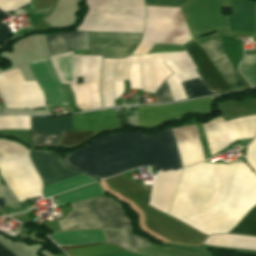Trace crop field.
Instances as JSON below:
<instances>
[{"label":"crop field","mask_w":256,"mask_h":256,"mask_svg":"<svg viewBox=\"0 0 256 256\" xmlns=\"http://www.w3.org/2000/svg\"><path fill=\"white\" fill-rule=\"evenodd\" d=\"M256 205V175L245 163L185 168L169 213L209 235L227 233Z\"/></svg>","instance_id":"crop-field-1"},{"label":"crop field","mask_w":256,"mask_h":256,"mask_svg":"<svg viewBox=\"0 0 256 256\" xmlns=\"http://www.w3.org/2000/svg\"><path fill=\"white\" fill-rule=\"evenodd\" d=\"M64 161L96 179L137 166L182 168L170 127L149 136L135 131L103 136L69 153Z\"/></svg>","instance_id":"crop-field-2"},{"label":"crop field","mask_w":256,"mask_h":256,"mask_svg":"<svg viewBox=\"0 0 256 256\" xmlns=\"http://www.w3.org/2000/svg\"><path fill=\"white\" fill-rule=\"evenodd\" d=\"M89 8L77 30L141 32L145 19L143 0H87ZM141 33L88 32L89 55L125 57Z\"/></svg>","instance_id":"crop-field-3"},{"label":"crop field","mask_w":256,"mask_h":256,"mask_svg":"<svg viewBox=\"0 0 256 256\" xmlns=\"http://www.w3.org/2000/svg\"><path fill=\"white\" fill-rule=\"evenodd\" d=\"M202 126L211 154H214L238 139L253 137L256 126V115L240 117L226 122L220 117ZM172 133L183 167L205 160L194 126L173 129Z\"/></svg>","instance_id":"crop-field-4"},{"label":"crop field","mask_w":256,"mask_h":256,"mask_svg":"<svg viewBox=\"0 0 256 256\" xmlns=\"http://www.w3.org/2000/svg\"><path fill=\"white\" fill-rule=\"evenodd\" d=\"M61 83L70 84L76 107L101 108L99 74L102 56L74 55L72 52L49 57ZM78 77L83 83L76 85Z\"/></svg>","instance_id":"crop-field-5"},{"label":"crop field","mask_w":256,"mask_h":256,"mask_svg":"<svg viewBox=\"0 0 256 256\" xmlns=\"http://www.w3.org/2000/svg\"><path fill=\"white\" fill-rule=\"evenodd\" d=\"M146 5L180 7L188 0H144ZM146 6L141 42L134 54L148 53L154 43L184 44L192 40L179 8Z\"/></svg>","instance_id":"crop-field-6"},{"label":"crop field","mask_w":256,"mask_h":256,"mask_svg":"<svg viewBox=\"0 0 256 256\" xmlns=\"http://www.w3.org/2000/svg\"><path fill=\"white\" fill-rule=\"evenodd\" d=\"M106 182L110 188L134 201L145 213L147 226L172 243L200 245L207 235L146 205L149 191L118 175ZM113 190V191H114Z\"/></svg>","instance_id":"crop-field-7"},{"label":"crop field","mask_w":256,"mask_h":256,"mask_svg":"<svg viewBox=\"0 0 256 256\" xmlns=\"http://www.w3.org/2000/svg\"><path fill=\"white\" fill-rule=\"evenodd\" d=\"M71 207L66 218L58 221L61 230L109 228L131 232L130 220L121 206L104 195L72 203Z\"/></svg>","instance_id":"crop-field-8"},{"label":"crop field","mask_w":256,"mask_h":256,"mask_svg":"<svg viewBox=\"0 0 256 256\" xmlns=\"http://www.w3.org/2000/svg\"><path fill=\"white\" fill-rule=\"evenodd\" d=\"M27 152L17 143L0 140V176L19 202L41 195V180Z\"/></svg>","instance_id":"crop-field-9"},{"label":"crop field","mask_w":256,"mask_h":256,"mask_svg":"<svg viewBox=\"0 0 256 256\" xmlns=\"http://www.w3.org/2000/svg\"><path fill=\"white\" fill-rule=\"evenodd\" d=\"M132 62H140L143 92H155L158 88L155 54L122 59L104 58L101 74L103 107L114 106L111 81L128 80L129 66Z\"/></svg>","instance_id":"crop-field-10"},{"label":"crop field","mask_w":256,"mask_h":256,"mask_svg":"<svg viewBox=\"0 0 256 256\" xmlns=\"http://www.w3.org/2000/svg\"><path fill=\"white\" fill-rule=\"evenodd\" d=\"M0 94L7 108L46 106L36 82H24L18 68L0 73Z\"/></svg>","instance_id":"crop-field-11"},{"label":"crop field","mask_w":256,"mask_h":256,"mask_svg":"<svg viewBox=\"0 0 256 256\" xmlns=\"http://www.w3.org/2000/svg\"><path fill=\"white\" fill-rule=\"evenodd\" d=\"M212 98L199 99L174 105L137 107L138 126L151 127L169 119H178L180 115L189 112H208L209 102Z\"/></svg>","instance_id":"crop-field-12"},{"label":"crop field","mask_w":256,"mask_h":256,"mask_svg":"<svg viewBox=\"0 0 256 256\" xmlns=\"http://www.w3.org/2000/svg\"><path fill=\"white\" fill-rule=\"evenodd\" d=\"M64 131H72L71 116L56 118L31 116L32 146H60Z\"/></svg>","instance_id":"crop-field-13"},{"label":"crop field","mask_w":256,"mask_h":256,"mask_svg":"<svg viewBox=\"0 0 256 256\" xmlns=\"http://www.w3.org/2000/svg\"><path fill=\"white\" fill-rule=\"evenodd\" d=\"M29 65L45 95L48 106L68 104L49 58L29 62Z\"/></svg>","instance_id":"crop-field-14"},{"label":"crop field","mask_w":256,"mask_h":256,"mask_svg":"<svg viewBox=\"0 0 256 256\" xmlns=\"http://www.w3.org/2000/svg\"><path fill=\"white\" fill-rule=\"evenodd\" d=\"M34 167L43 180V186L80 174L67 168L53 151L36 150L29 153Z\"/></svg>","instance_id":"crop-field-15"},{"label":"crop field","mask_w":256,"mask_h":256,"mask_svg":"<svg viewBox=\"0 0 256 256\" xmlns=\"http://www.w3.org/2000/svg\"><path fill=\"white\" fill-rule=\"evenodd\" d=\"M199 45L232 89L246 86L231 66L220 37Z\"/></svg>","instance_id":"crop-field-16"},{"label":"crop field","mask_w":256,"mask_h":256,"mask_svg":"<svg viewBox=\"0 0 256 256\" xmlns=\"http://www.w3.org/2000/svg\"><path fill=\"white\" fill-rule=\"evenodd\" d=\"M181 170L159 172L156 180L152 183L150 206L168 213Z\"/></svg>","instance_id":"crop-field-17"},{"label":"crop field","mask_w":256,"mask_h":256,"mask_svg":"<svg viewBox=\"0 0 256 256\" xmlns=\"http://www.w3.org/2000/svg\"><path fill=\"white\" fill-rule=\"evenodd\" d=\"M73 131L120 126L113 109L72 115Z\"/></svg>","instance_id":"crop-field-18"},{"label":"crop field","mask_w":256,"mask_h":256,"mask_svg":"<svg viewBox=\"0 0 256 256\" xmlns=\"http://www.w3.org/2000/svg\"><path fill=\"white\" fill-rule=\"evenodd\" d=\"M187 52L192 57L208 85L217 91L230 89V87L227 85L219 72L216 70L211 61L195 41L189 45Z\"/></svg>","instance_id":"crop-field-19"},{"label":"crop field","mask_w":256,"mask_h":256,"mask_svg":"<svg viewBox=\"0 0 256 256\" xmlns=\"http://www.w3.org/2000/svg\"><path fill=\"white\" fill-rule=\"evenodd\" d=\"M49 55L69 50H88L87 32H70L44 36Z\"/></svg>","instance_id":"crop-field-20"},{"label":"crop field","mask_w":256,"mask_h":256,"mask_svg":"<svg viewBox=\"0 0 256 256\" xmlns=\"http://www.w3.org/2000/svg\"><path fill=\"white\" fill-rule=\"evenodd\" d=\"M254 10L255 3L233 0V16L227 18L230 30L254 32Z\"/></svg>","instance_id":"crop-field-21"},{"label":"crop field","mask_w":256,"mask_h":256,"mask_svg":"<svg viewBox=\"0 0 256 256\" xmlns=\"http://www.w3.org/2000/svg\"><path fill=\"white\" fill-rule=\"evenodd\" d=\"M50 236L60 245L106 241L102 230L53 232Z\"/></svg>","instance_id":"crop-field-22"},{"label":"crop field","mask_w":256,"mask_h":256,"mask_svg":"<svg viewBox=\"0 0 256 256\" xmlns=\"http://www.w3.org/2000/svg\"><path fill=\"white\" fill-rule=\"evenodd\" d=\"M105 232L109 242L128 250L152 246V244L147 239L137 236L135 233H119L109 231Z\"/></svg>","instance_id":"crop-field-23"},{"label":"crop field","mask_w":256,"mask_h":256,"mask_svg":"<svg viewBox=\"0 0 256 256\" xmlns=\"http://www.w3.org/2000/svg\"><path fill=\"white\" fill-rule=\"evenodd\" d=\"M63 249L69 256H94L118 251H124L121 248H118L109 243H98L91 245H81V246H72V247H60Z\"/></svg>","instance_id":"crop-field-24"},{"label":"crop field","mask_w":256,"mask_h":256,"mask_svg":"<svg viewBox=\"0 0 256 256\" xmlns=\"http://www.w3.org/2000/svg\"><path fill=\"white\" fill-rule=\"evenodd\" d=\"M96 180L89 178L83 174L62 180L60 182L44 187V198L85 185Z\"/></svg>","instance_id":"crop-field-25"},{"label":"crop field","mask_w":256,"mask_h":256,"mask_svg":"<svg viewBox=\"0 0 256 256\" xmlns=\"http://www.w3.org/2000/svg\"><path fill=\"white\" fill-rule=\"evenodd\" d=\"M99 194H103V191L101 190L98 183H96V184L78 189L76 191L58 196L57 202H58L59 206H61V205H65V204H68L71 202H75L78 200L96 196Z\"/></svg>","instance_id":"crop-field-26"},{"label":"crop field","mask_w":256,"mask_h":256,"mask_svg":"<svg viewBox=\"0 0 256 256\" xmlns=\"http://www.w3.org/2000/svg\"><path fill=\"white\" fill-rule=\"evenodd\" d=\"M181 84L188 98L215 93V91L206 86L201 77L198 79L182 82Z\"/></svg>","instance_id":"crop-field-27"},{"label":"crop field","mask_w":256,"mask_h":256,"mask_svg":"<svg viewBox=\"0 0 256 256\" xmlns=\"http://www.w3.org/2000/svg\"><path fill=\"white\" fill-rule=\"evenodd\" d=\"M239 70L252 86H256V54L244 55Z\"/></svg>","instance_id":"crop-field-28"},{"label":"crop field","mask_w":256,"mask_h":256,"mask_svg":"<svg viewBox=\"0 0 256 256\" xmlns=\"http://www.w3.org/2000/svg\"><path fill=\"white\" fill-rule=\"evenodd\" d=\"M0 129H30L29 116H0Z\"/></svg>","instance_id":"crop-field-29"},{"label":"crop field","mask_w":256,"mask_h":256,"mask_svg":"<svg viewBox=\"0 0 256 256\" xmlns=\"http://www.w3.org/2000/svg\"><path fill=\"white\" fill-rule=\"evenodd\" d=\"M231 233L256 235V206L244 217Z\"/></svg>","instance_id":"crop-field-30"},{"label":"crop field","mask_w":256,"mask_h":256,"mask_svg":"<svg viewBox=\"0 0 256 256\" xmlns=\"http://www.w3.org/2000/svg\"><path fill=\"white\" fill-rule=\"evenodd\" d=\"M92 134L93 132H89V131L65 132L62 135L61 146L77 145L85 141L90 136H92Z\"/></svg>","instance_id":"crop-field-31"},{"label":"crop field","mask_w":256,"mask_h":256,"mask_svg":"<svg viewBox=\"0 0 256 256\" xmlns=\"http://www.w3.org/2000/svg\"><path fill=\"white\" fill-rule=\"evenodd\" d=\"M156 96L159 100V103L173 101L166 80L156 92Z\"/></svg>","instance_id":"crop-field-32"},{"label":"crop field","mask_w":256,"mask_h":256,"mask_svg":"<svg viewBox=\"0 0 256 256\" xmlns=\"http://www.w3.org/2000/svg\"><path fill=\"white\" fill-rule=\"evenodd\" d=\"M246 158L250 166L256 172V138L250 145H248Z\"/></svg>","instance_id":"crop-field-33"},{"label":"crop field","mask_w":256,"mask_h":256,"mask_svg":"<svg viewBox=\"0 0 256 256\" xmlns=\"http://www.w3.org/2000/svg\"><path fill=\"white\" fill-rule=\"evenodd\" d=\"M7 16L9 15L0 10V20ZM12 35L10 29L0 22V44Z\"/></svg>","instance_id":"crop-field-34"},{"label":"crop field","mask_w":256,"mask_h":256,"mask_svg":"<svg viewBox=\"0 0 256 256\" xmlns=\"http://www.w3.org/2000/svg\"><path fill=\"white\" fill-rule=\"evenodd\" d=\"M0 256H15V255L0 245Z\"/></svg>","instance_id":"crop-field-35"}]
</instances>
